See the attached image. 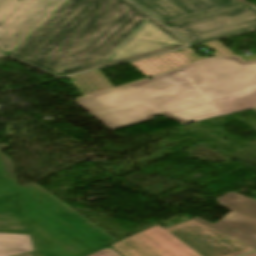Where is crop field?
<instances>
[{
	"mask_svg": "<svg viewBox=\"0 0 256 256\" xmlns=\"http://www.w3.org/2000/svg\"><path fill=\"white\" fill-rule=\"evenodd\" d=\"M186 45L127 0H68L9 56L58 78Z\"/></svg>",
	"mask_w": 256,
	"mask_h": 256,
	"instance_id": "crop-field-1",
	"label": "crop field"
},
{
	"mask_svg": "<svg viewBox=\"0 0 256 256\" xmlns=\"http://www.w3.org/2000/svg\"><path fill=\"white\" fill-rule=\"evenodd\" d=\"M256 89V62L212 58L75 100L110 129L163 114L182 124L220 116L208 102Z\"/></svg>",
	"mask_w": 256,
	"mask_h": 256,
	"instance_id": "crop-field-2",
	"label": "crop field"
},
{
	"mask_svg": "<svg viewBox=\"0 0 256 256\" xmlns=\"http://www.w3.org/2000/svg\"><path fill=\"white\" fill-rule=\"evenodd\" d=\"M0 232L30 234L35 256H85L117 242L39 185L18 188L12 160L2 153Z\"/></svg>",
	"mask_w": 256,
	"mask_h": 256,
	"instance_id": "crop-field-3",
	"label": "crop field"
},
{
	"mask_svg": "<svg viewBox=\"0 0 256 256\" xmlns=\"http://www.w3.org/2000/svg\"><path fill=\"white\" fill-rule=\"evenodd\" d=\"M123 256H236L256 250L194 220L156 225L111 245Z\"/></svg>",
	"mask_w": 256,
	"mask_h": 256,
	"instance_id": "crop-field-4",
	"label": "crop field"
},
{
	"mask_svg": "<svg viewBox=\"0 0 256 256\" xmlns=\"http://www.w3.org/2000/svg\"><path fill=\"white\" fill-rule=\"evenodd\" d=\"M194 45L256 30V8L242 5L168 25Z\"/></svg>",
	"mask_w": 256,
	"mask_h": 256,
	"instance_id": "crop-field-5",
	"label": "crop field"
},
{
	"mask_svg": "<svg viewBox=\"0 0 256 256\" xmlns=\"http://www.w3.org/2000/svg\"><path fill=\"white\" fill-rule=\"evenodd\" d=\"M66 0H0V49L12 51Z\"/></svg>",
	"mask_w": 256,
	"mask_h": 256,
	"instance_id": "crop-field-6",
	"label": "crop field"
},
{
	"mask_svg": "<svg viewBox=\"0 0 256 256\" xmlns=\"http://www.w3.org/2000/svg\"><path fill=\"white\" fill-rule=\"evenodd\" d=\"M216 201L233 212L215 224L193 219L256 248V200L230 192Z\"/></svg>",
	"mask_w": 256,
	"mask_h": 256,
	"instance_id": "crop-field-7",
	"label": "crop field"
},
{
	"mask_svg": "<svg viewBox=\"0 0 256 256\" xmlns=\"http://www.w3.org/2000/svg\"><path fill=\"white\" fill-rule=\"evenodd\" d=\"M164 24L242 5L238 0H133ZM141 7V8H142Z\"/></svg>",
	"mask_w": 256,
	"mask_h": 256,
	"instance_id": "crop-field-8",
	"label": "crop field"
},
{
	"mask_svg": "<svg viewBox=\"0 0 256 256\" xmlns=\"http://www.w3.org/2000/svg\"><path fill=\"white\" fill-rule=\"evenodd\" d=\"M190 47L130 62L147 77L206 58H200Z\"/></svg>",
	"mask_w": 256,
	"mask_h": 256,
	"instance_id": "crop-field-9",
	"label": "crop field"
},
{
	"mask_svg": "<svg viewBox=\"0 0 256 256\" xmlns=\"http://www.w3.org/2000/svg\"><path fill=\"white\" fill-rule=\"evenodd\" d=\"M68 79L82 96L113 88L99 70L69 77Z\"/></svg>",
	"mask_w": 256,
	"mask_h": 256,
	"instance_id": "crop-field-10",
	"label": "crop field"
},
{
	"mask_svg": "<svg viewBox=\"0 0 256 256\" xmlns=\"http://www.w3.org/2000/svg\"><path fill=\"white\" fill-rule=\"evenodd\" d=\"M32 251L29 235L0 233V256H13Z\"/></svg>",
	"mask_w": 256,
	"mask_h": 256,
	"instance_id": "crop-field-11",
	"label": "crop field"
},
{
	"mask_svg": "<svg viewBox=\"0 0 256 256\" xmlns=\"http://www.w3.org/2000/svg\"><path fill=\"white\" fill-rule=\"evenodd\" d=\"M210 104L222 114L256 107V90H252L248 94L211 102Z\"/></svg>",
	"mask_w": 256,
	"mask_h": 256,
	"instance_id": "crop-field-12",
	"label": "crop field"
},
{
	"mask_svg": "<svg viewBox=\"0 0 256 256\" xmlns=\"http://www.w3.org/2000/svg\"><path fill=\"white\" fill-rule=\"evenodd\" d=\"M204 45H207L210 48H212L213 50H215L216 53H214V55H216V56L236 55V54H234L232 51H230L228 48H226L224 45H222L218 41H213V42L205 43Z\"/></svg>",
	"mask_w": 256,
	"mask_h": 256,
	"instance_id": "crop-field-13",
	"label": "crop field"
},
{
	"mask_svg": "<svg viewBox=\"0 0 256 256\" xmlns=\"http://www.w3.org/2000/svg\"><path fill=\"white\" fill-rule=\"evenodd\" d=\"M89 256H121V255H119L117 252H115L111 248L107 247Z\"/></svg>",
	"mask_w": 256,
	"mask_h": 256,
	"instance_id": "crop-field-14",
	"label": "crop field"
},
{
	"mask_svg": "<svg viewBox=\"0 0 256 256\" xmlns=\"http://www.w3.org/2000/svg\"><path fill=\"white\" fill-rule=\"evenodd\" d=\"M7 57L3 52L0 51V58H5Z\"/></svg>",
	"mask_w": 256,
	"mask_h": 256,
	"instance_id": "crop-field-15",
	"label": "crop field"
},
{
	"mask_svg": "<svg viewBox=\"0 0 256 256\" xmlns=\"http://www.w3.org/2000/svg\"><path fill=\"white\" fill-rule=\"evenodd\" d=\"M245 256H256V252H255V253L248 254V255H245Z\"/></svg>",
	"mask_w": 256,
	"mask_h": 256,
	"instance_id": "crop-field-16",
	"label": "crop field"
},
{
	"mask_svg": "<svg viewBox=\"0 0 256 256\" xmlns=\"http://www.w3.org/2000/svg\"><path fill=\"white\" fill-rule=\"evenodd\" d=\"M21 256H33L32 253L30 254H25V255H21Z\"/></svg>",
	"mask_w": 256,
	"mask_h": 256,
	"instance_id": "crop-field-17",
	"label": "crop field"
},
{
	"mask_svg": "<svg viewBox=\"0 0 256 256\" xmlns=\"http://www.w3.org/2000/svg\"><path fill=\"white\" fill-rule=\"evenodd\" d=\"M242 3H244V4H247V2L245 1V0H240Z\"/></svg>",
	"mask_w": 256,
	"mask_h": 256,
	"instance_id": "crop-field-18",
	"label": "crop field"
},
{
	"mask_svg": "<svg viewBox=\"0 0 256 256\" xmlns=\"http://www.w3.org/2000/svg\"><path fill=\"white\" fill-rule=\"evenodd\" d=\"M256 111V108H253Z\"/></svg>",
	"mask_w": 256,
	"mask_h": 256,
	"instance_id": "crop-field-19",
	"label": "crop field"
}]
</instances>
